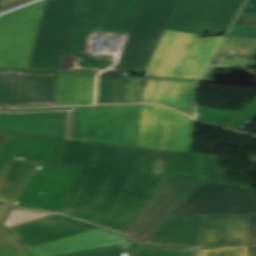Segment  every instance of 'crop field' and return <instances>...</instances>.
<instances>
[{"mask_svg":"<svg viewBox=\"0 0 256 256\" xmlns=\"http://www.w3.org/2000/svg\"><path fill=\"white\" fill-rule=\"evenodd\" d=\"M94 228L98 227L54 214L8 230L27 248Z\"/></svg>","mask_w":256,"mask_h":256,"instance_id":"cbeb9de0","label":"crop field"},{"mask_svg":"<svg viewBox=\"0 0 256 256\" xmlns=\"http://www.w3.org/2000/svg\"><path fill=\"white\" fill-rule=\"evenodd\" d=\"M115 243L127 252L132 242L118 233L98 228L27 248V250L32 256H53Z\"/></svg>","mask_w":256,"mask_h":256,"instance_id":"d9b57169","label":"crop field"},{"mask_svg":"<svg viewBox=\"0 0 256 256\" xmlns=\"http://www.w3.org/2000/svg\"><path fill=\"white\" fill-rule=\"evenodd\" d=\"M142 1L80 0L63 57L77 56L80 66L86 68L104 70L113 65L115 62L113 57L97 60L98 56L82 55L87 38L91 31L128 34ZM58 70L98 72L89 69H64L61 63Z\"/></svg>","mask_w":256,"mask_h":256,"instance_id":"ac0d7876","label":"crop field"},{"mask_svg":"<svg viewBox=\"0 0 256 256\" xmlns=\"http://www.w3.org/2000/svg\"><path fill=\"white\" fill-rule=\"evenodd\" d=\"M0 205L12 207L11 205H8V204L2 203V202H0Z\"/></svg>","mask_w":256,"mask_h":256,"instance_id":"25e5ab78","label":"crop field"},{"mask_svg":"<svg viewBox=\"0 0 256 256\" xmlns=\"http://www.w3.org/2000/svg\"><path fill=\"white\" fill-rule=\"evenodd\" d=\"M234 115H236V114L230 113V112H225V111H220V110H215V109H210V108H208V113H207V117L225 121V122L230 120Z\"/></svg>","mask_w":256,"mask_h":256,"instance_id":"028f5c9d","label":"crop field"},{"mask_svg":"<svg viewBox=\"0 0 256 256\" xmlns=\"http://www.w3.org/2000/svg\"><path fill=\"white\" fill-rule=\"evenodd\" d=\"M234 25L256 26V15L239 14Z\"/></svg>","mask_w":256,"mask_h":256,"instance_id":"e1f06a70","label":"crop field"},{"mask_svg":"<svg viewBox=\"0 0 256 256\" xmlns=\"http://www.w3.org/2000/svg\"><path fill=\"white\" fill-rule=\"evenodd\" d=\"M256 116V99L248 104L236 116L228 121L224 127L240 129Z\"/></svg>","mask_w":256,"mask_h":256,"instance_id":"120bbe31","label":"crop field"},{"mask_svg":"<svg viewBox=\"0 0 256 256\" xmlns=\"http://www.w3.org/2000/svg\"><path fill=\"white\" fill-rule=\"evenodd\" d=\"M51 214L52 213L31 212L13 208L4 226L8 228Z\"/></svg>","mask_w":256,"mask_h":256,"instance_id":"1d83c4d3","label":"crop field"},{"mask_svg":"<svg viewBox=\"0 0 256 256\" xmlns=\"http://www.w3.org/2000/svg\"><path fill=\"white\" fill-rule=\"evenodd\" d=\"M200 183L167 177L124 234L147 240Z\"/></svg>","mask_w":256,"mask_h":256,"instance_id":"d1516ede","label":"crop field"},{"mask_svg":"<svg viewBox=\"0 0 256 256\" xmlns=\"http://www.w3.org/2000/svg\"><path fill=\"white\" fill-rule=\"evenodd\" d=\"M228 36L256 37V27L233 26Z\"/></svg>","mask_w":256,"mask_h":256,"instance_id":"5866460e","label":"crop field"},{"mask_svg":"<svg viewBox=\"0 0 256 256\" xmlns=\"http://www.w3.org/2000/svg\"><path fill=\"white\" fill-rule=\"evenodd\" d=\"M58 256H128V254L118 244H115Z\"/></svg>","mask_w":256,"mask_h":256,"instance_id":"750c4746","label":"crop field"},{"mask_svg":"<svg viewBox=\"0 0 256 256\" xmlns=\"http://www.w3.org/2000/svg\"><path fill=\"white\" fill-rule=\"evenodd\" d=\"M215 69H227L228 67H219V66H209L207 73L200 79V81L211 82L212 80L208 77V75Z\"/></svg>","mask_w":256,"mask_h":256,"instance_id":"c035e120","label":"crop field"},{"mask_svg":"<svg viewBox=\"0 0 256 256\" xmlns=\"http://www.w3.org/2000/svg\"><path fill=\"white\" fill-rule=\"evenodd\" d=\"M144 78L118 77L116 103L142 102Z\"/></svg>","mask_w":256,"mask_h":256,"instance_id":"a9b5d70f","label":"crop field"},{"mask_svg":"<svg viewBox=\"0 0 256 256\" xmlns=\"http://www.w3.org/2000/svg\"><path fill=\"white\" fill-rule=\"evenodd\" d=\"M15 71L13 107L53 106L56 73Z\"/></svg>","mask_w":256,"mask_h":256,"instance_id":"4a817a6b","label":"crop field"},{"mask_svg":"<svg viewBox=\"0 0 256 256\" xmlns=\"http://www.w3.org/2000/svg\"><path fill=\"white\" fill-rule=\"evenodd\" d=\"M179 0H144L116 72L144 74Z\"/></svg>","mask_w":256,"mask_h":256,"instance_id":"f4fd0767","label":"crop field"},{"mask_svg":"<svg viewBox=\"0 0 256 256\" xmlns=\"http://www.w3.org/2000/svg\"><path fill=\"white\" fill-rule=\"evenodd\" d=\"M211 214H245L249 243L256 242V197L252 188L202 182L171 216Z\"/></svg>","mask_w":256,"mask_h":256,"instance_id":"e52e79f7","label":"crop field"},{"mask_svg":"<svg viewBox=\"0 0 256 256\" xmlns=\"http://www.w3.org/2000/svg\"><path fill=\"white\" fill-rule=\"evenodd\" d=\"M245 0H180L166 30L199 34L228 31Z\"/></svg>","mask_w":256,"mask_h":256,"instance_id":"28ad6ade","label":"crop field"},{"mask_svg":"<svg viewBox=\"0 0 256 256\" xmlns=\"http://www.w3.org/2000/svg\"><path fill=\"white\" fill-rule=\"evenodd\" d=\"M58 163L83 166L60 213L122 233L165 180L156 150L68 141Z\"/></svg>","mask_w":256,"mask_h":256,"instance_id":"8a807250","label":"crop field"},{"mask_svg":"<svg viewBox=\"0 0 256 256\" xmlns=\"http://www.w3.org/2000/svg\"><path fill=\"white\" fill-rule=\"evenodd\" d=\"M141 245H139V244H136V243H132V245H131V247H130V249L128 250V254L129 255H132V254H134L138 249H139V247H140Z\"/></svg>","mask_w":256,"mask_h":256,"instance_id":"03da06ac","label":"crop field"},{"mask_svg":"<svg viewBox=\"0 0 256 256\" xmlns=\"http://www.w3.org/2000/svg\"><path fill=\"white\" fill-rule=\"evenodd\" d=\"M250 247H251L252 256H256V244L255 245H250Z\"/></svg>","mask_w":256,"mask_h":256,"instance_id":"d23c7cc5","label":"crop field"},{"mask_svg":"<svg viewBox=\"0 0 256 256\" xmlns=\"http://www.w3.org/2000/svg\"><path fill=\"white\" fill-rule=\"evenodd\" d=\"M14 1H17V0H1L0 7H1V6H4V5H6V4L12 3V2H14Z\"/></svg>","mask_w":256,"mask_h":256,"instance_id":"5d738f31","label":"crop field"},{"mask_svg":"<svg viewBox=\"0 0 256 256\" xmlns=\"http://www.w3.org/2000/svg\"><path fill=\"white\" fill-rule=\"evenodd\" d=\"M206 112H207V108L197 106L196 118L201 120V121L216 124V125H220V126L225 124L224 122H220V121H216V120L206 118Z\"/></svg>","mask_w":256,"mask_h":256,"instance_id":"0bd39190","label":"crop field"},{"mask_svg":"<svg viewBox=\"0 0 256 256\" xmlns=\"http://www.w3.org/2000/svg\"><path fill=\"white\" fill-rule=\"evenodd\" d=\"M79 0H47L28 68L57 70Z\"/></svg>","mask_w":256,"mask_h":256,"instance_id":"d8731c3e","label":"crop field"},{"mask_svg":"<svg viewBox=\"0 0 256 256\" xmlns=\"http://www.w3.org/2000/svg\"><path fill=\"white\" fill-rule=\"evenodd\" d=\"M195 81L145 78L143 102L159 103L191 114L194 109Z\"/></svg>","mask_w":256,"mask_h":256,"instance_id":"733c2abd","label":"crop field"},{"mask_svg":"<svg viewBox=\"0 0 256 256\" xmlns=\"http://www.w3.org/2000/svg\"><path fill=\"white\" fill-rule=\"evenodd\" d=\"M10 208L0 206V256H29L28 253L2 226Z\"/></svg>","mask_w":256,"mask_h":256,"instance_id":"4177f3b9","label":"crop field"},{"mask_svg":"<svg viewBox=\"0 0 256 256\" xmlns=\"http://www.w3.org/2000/svg\"><path fill=\"white\" fill-rule=\"evenodd\" d=\"M249 5H253L249 7ZM241 13L256 14V0H248Z\"/></svg>","mask_w":256,"mask_h":256,"instance_id":"b80d0937","label":"crop field"},{"mask_svg":"<svg viewBox=\"0 0 256 256\" xmlns=\"http://www.w3.org/2000/svg\"><path fill=\"white\" fill-rule=\"evenodd\" d=\"M117 85L99 84L97 104L115 103Z\"/></svg>","mask_w":256,"mask_h":256,"instance_id":"d32e631a","label":"crop field"},{"mask_svg":"<svg viewBox=\"0 0 256 256\" xmlns=\"http://www.w3.org/2000/svg\"><path fill=\"white\" fill-rule=\"evenodd\" d=\"M141 110L142 106L77 108L75 140L137 147Z\"/></svg>","mask_w":256,"mask_h":256,"instance_id":"dd49c442","label":"crop field"},{"mask_svg":"<svg viewBox=\"0 0 256 256\" xmlns=\"http://www.w3.org/2000/svg\"><path fill=\"white\" fill-rule=\"evenodd\" d=\"M178 114L143 105L138 147L173 151Z\"/></svg>","mask_w":256,"mask_h":256,"instance_id":"5142ce71","label":"crop field"},{"mask_svg":"<svg viewBox=\"0 0 256 256\" xmlns=\"http://www.w3.org/2000/svg\"><path fill=\"white\" fill-rule=\"evenodd\" d=\"M41 164L10 158L0 173V200L14 205Z\"/></svg>","mask_w":256,"mask_h":256,"instance_id":"dafd665d","label":"crop field"},{"mask_svg":"<svg viewBox=\"0 0 256 256\" xmlns=\"http://www.w3.org/2000/svg\"><path fill=\"white\" fill-rule=\"evenodd\" d=\"M95 77L57 73L54 106L93 104Z\"/></svg>","mask_w":256,"mask_h":256,"instance_id":"92a150f3","label":"crop field"},{"mask_svg":"<svg viewBox=\"0 0 256 256\" xmlns=\"http://www.w3.org/2000/svg\"><path fill=\"white\" fill-rule=\"evenodd\" d=\"M230 50L240 51L229 53ZM252 54L256 55L255 38L227 37L212 64L250 67L256 65V56L253 60L249 59Z\"/></svg>","mask_w":256,"mask_h":256,"instance_id":"00972430","label":"crop field"},{"mask_svg":"<svg viewBox=\"0 0 256 256\" xmlns=\"http://www.w3.org/2000/svg\"><path fill=\"white\" fill-rule=\"evenodd\" d=\"M248 243L244 215L204 216L198 247Z\"/></svg>","mask_w":256,"mask_h":256,"instance_id":"bc2a9ffb","label":"crop field"},{"mask_svg":"<svg viewBox=\"0 0 256 256\" xmlns=\"http://www.w3.org/2000/svg\"><path fill=\"white\" fill-rule=\"evenodd\" d=\"M100 83H114V84H117V77L100 76Z\"/></svg>","mask_w":256,"mask_h":256,"instance_id":"c21b1889","label":"crop field"},{"mask_svg":"<svg viewBox=\"0 0 256 256\" xmlns=\"http://www.w3.org/2000/svg\"><path fill=\"white\" fill-rule=\"evenodd\" d=\"M66 142L34 137L22 159L44 162L15 206L59 212L81 169L78 166L57 164Z\"/></svg>","mask_w":256,"mask_h":256,"instance_id":"34b2d1b8","label":"crop field"},{"mask_svg":"<svg viewBox=\"0 0 256 256\" xmlns=\"http://www.w3.org/2000/svg\"><path fill=\"white\" fill-rule=\"evenodd\" d=\"M45 1L0 17V68L27 69ZM49 71V70H36ZM96 75L89 72L50 71Z\"/></svg>","mask_w":256,"mask_h":256,"instance_id":"5a996713","label":"crop field"},{"mask_svg":"<svg viewBox=\"0 0 256 256\" xmlns=\"http://www.w3.org/2000/svg\"><path fill=\"white\" fill-rule=\"evenodd\" d=\"M196 256H249L248 245L209 248L197 251Z\"/></svg>","mask_w":256,"mask_h":256,"instance_id":"bd1437ed","label":"crop field"},{"mask_svg":"<svg viewBox=\"0 0 256 256\" xmlns=\"http://www.w3.org/2000/svg\"><path fill=\"white\" fill-rule=\"evenodd\" d=\"M33 137L12 135L0 150V171L10 157L20 159Z\"/></svg>","mask_w":256,"mask_h":256,"instance_id":"730fd06b","label":"crop field"},{"mask_svg":"<svg viewBox=\"0 0 256 256\" xmlns=\"http://www.w3.org/2000/svg\"><path fill=\"white\" fill-rule=\"evenodd\" d=\"M194 121L179 114L174 151L191 153Z\"/></svg>","mask_w":256,"mask_h":256,"instance_id":"eef30255","label":"crop field"},{"mask_svg":"<svg viewBox=\"0 0 256 256\" xmlns=\"http://www.w3.org/2000/svg\"><path fill=\"white\" fill-rule=\"evenodd\" d=\"M161 175L224 183L216 156L160 150Z\"/></svg>","mask_w":256,"mask_h":256,"instance_id":"22f410ed","label":"crop field"},{"mask_svg":"<svg viewBox=\"0 0 256 256\" xmlns=\"http://www.w3.org/2000/svg\"><path fill=\"white\" fill-rule=\"evenodd\" d=\"M166 31L146 72L152 76L198 78L223 37Z\"/></svg>","mask_w":256,"mask_h":256,"instance_id":"412701ff","label":"crop field"},{"mask_svg":"<svg viewBox=\"0 0 256 256\" xmlns=\"http://www.w3.org/2000/svg\"><path fill=\"white\" fill-rule=\"evenodd\" d=\"M11 135L0 134V149Z\"/></svg>","mask_w":256,"mask_h":256,"instance_id":"b54c1fbb","label":"crop field"},{"mask_svg":"<svg viewBox=\"0 0 256 256\" xmlns=\"http://www.w3.org/2000/svg\"><path fill=\"white\" fill-rule=\"evenodd\" d=\"M14 70L0 69V107H12Z\"/></svg>","mask_w":256,"mask_h":256,"instance_id":"ae1a2a85","label":"crop field"},{"mask_svg":"<svg viewBox=\"0 0 256 256\" xmlns=\"http://www.w3.org/2000/svg\"><path fill=\"white\" fill-rule=\"evenodd\" d=\"M102 75H114L117 74L116 72H102Z\"/></svg>","mask_w":256,"mask_h":256,"instance_id":"425ffa30","label":"crop field"},{"mask_svg":"<svg viewBox=\"0 0 256 256\" xmlns=\"http://www.w3.org/2000/svg\"><path fill=\"white\" fill-rule=\"evenodd\" d=\"M76 108L0 110V132L74 140Z\"/></svg>","mask_w":256,"mask_h":256,"instance_id":"3316defc","label":"crop field"},{"mask_svg":"<svg viewBox=\"0 0 256 256\" xmlns=\"http://www.w3.org/2000/svg\"><path fill=\"white\" fill-rule=\"evenodd\" d=\"M196 251L179 248H151L141 246L133 256H195Z\"/></svg>","mask_w":256,"mask_h":256,"instance_id":"d3111659","label":"crop field"},{"mask_svg":"<svg viewBox=\"0 0 256 256\" xmlns=\"http://www.w3.org/2000/svg\"><path fill=\"white\" fill-rule=\"evenodd\" d=\"M202 219L203 216L169 217L145 244L195 248L198 245Z\"/></svg>","mask_w":256,"mask_h":256,"instance_id":"214f88e0","label":"crop field"}]
</instances>
